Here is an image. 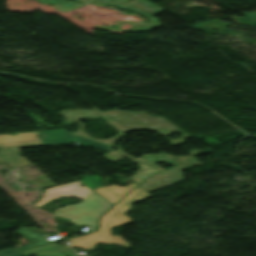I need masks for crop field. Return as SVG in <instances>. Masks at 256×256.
Returning <instances> with one entry per match:
<instances>
[{"mask_svg": "<svg viewBox=\"0 0 256 256\" xmlns=\"http://www.w3.org/2000/svg\"><path fill=\"white\" fill-rule=\"evenodd\" d=\"M41 135V138H37ZM78 142L81 145L93 147L98 150L109 152L113 147L106 144L94 141L92 139L83 136H72L67 130L59 131H46V132H34V133H22L13 136L1 135L0 136V164L5 162L9 164V167H15L14 171H10L6 174L8 182L16 186L17 188H22L28 184L17 181L19 174V167H22L28 163L23 157H20V147H31V146H41V145H51V144H61V143H71Z\"/></svg>", "mask_w": 256, "mask_h": 256, "instance_id": "obj_1", "label": "crop field"}, {"mask_svg": "<svg viewBox=\"0 0 256 256\" xmlns=\"http://www.w3.org/2000/svg\"><path fill=\"white\" fill-rule=\"evenodd\" d=\"M59 113L62 114L66 118L62 124L69 125L73 122H77V123L81 124L79 130L76 131V132H72V134H74V135H84L86 137H88V136L83 131L84 124L82 122L78 121L80 118H95V119L105 120L107 123H109L113 128H115L119 132V135H117V136H115L111 139H107V140H97V139H94V138H92V139L103 142V143H106V144L111 145V146H113L114 142L117 139H119L125 133L129 132L123 126H121L120 124L115 122L113 119L108 117L105 113H103L99 110H62ZM89 138H91V137H89Z\"/></svg>", "mask_w": 256, "mask_h": 256, "instance_id": "obj_3", "label": "crop field"}, {"mask_svg": "<svg viewBox=\"0 0 256 256\" xmlns=\"http://www.w3.org/2000/svg\"><path fill=\"white\" fill-rule=\"evenodd\" d=\"M146 197H150V195L137 186L126 198H124L121 202L119 201L120 203H118L115 207L125 213L130 210L131 204L134 203V201H138Z\"/></svg>", "mask_w": 256, "mask_h": 256, "instance_id": "obj_6", "label": "crop field"}, {"mask_svg": "<svg viewBox=\"0 0 256 256\" xmlns=\"http://www.w3.org/2000/svg\"><path fill=\"white\" fill-rule=\"evenodd\" d=\"M135 186H137V185L134 183H132L126 187H119L117 185H112V186H108V187H100L94 191L114 204L116 201H118L122 196H124L127 192H129ZM53 216L57 217L59 219L65 220V221H68L70 219V218L64 217V216L56 214V213H54Z\"/></svg>", "mask_w": 256, "mask_h": 256, "instance_id": "obj_5", "label": "crop field"}, {"mask_svg": "<svg viewBox=\"0 0 256 256\" xmlns=\"http://www.w3.org/2000/svg\"><path fill=\"white\" fill-rule=\"evenodd\" d=\"M127 23L132 24V25H133V28H132V29H129V30H119V29H115V28H112V27L101 26V25H96L95 27L107 28V29L118 30V31H127V32L151 30V29H155V28H156L155 26L146 25V24H141V23H136V22H131V21H128Z\"/></svg>", "mask_w": 256, "mask_h": 256, "instance_id": "obj_10", "label": "crop field"}, {"mask_svg": "<svg viewBox=\"0 0 256 256\" xmlns=\"http://www.w3.org/2000/svg\"><path fill=\"white\" fill-rule=\"evenodd\" d=\"M129 3L133 4L134 6L144 10L145 12H147V13L153 15V16L162 12V11H164L163 9H161L158 6L152 4L148 0H134V1L129 2Z\"/></svg>", "mask_w": 256, "mask_h": 256, "instance_id": "obj_9", "label": "crop field"}, {"mask_svg": "<svg viewBox=\"0 0 256 256\" xmlns=\"http://www.w3.org/2000/svg\"><path fill=\"white\" fill-rule=\"evenodd\" d=\"M15 251L19 252L16 249L6 250V251L0 252V256H4V255L10 254V253L15 252ZM12 256H23V255H21L20 253H17V254L12 255Z\"/></svg>", "mask_w": 256, "mask_h": 256, "instance_id": "obj_13", "label": "crop field"}, {"mask_svg": "<svg viewBox=\"0 0 256 256\" xmlns=\"http://www.w3.org/2000/svg\"><path fill=\"white\" fill-rule=\"evenodd\" d=\"M100 181H101V177L99 176H85V178L81 180V182H83L92 190L101 186Z\"/></svg>", "mask_w": 256, "mask_h": 256, "instance_id": "obj_11", "label": "crop field"}, {"mask_svg": "<svg viewBox=\"0 0 256 256\" xmlns=\"http://www.w3.org/2000/svg\"><path fill=\"white\" fill-rule=\"evenodd\" d=\"M37 1H39L40 3L48 4V5L53 4L56 6L57 10H61V11L84 5V3L71 2L67 0H37Z\"/></svg>", "mask_w": 256, "mask_h": 256, "instance_id": "obj_8", "label": "crop field"}, {"mask_svg": "<svg viewBox=\"0 0 256 256\" xmlns=\"http://www.w3.org/2000/svg\"><path fill=\"white\" fill-rule=\"evenodd\" d=\"M76 1L84 2V0H76Z\"/></svg>", "mask_w": 256, "mask_h": 256, "instance_id": "obj_14", "label": "crop field"}, {"mask_svg": "<svg viewBox=\"0 0 256 256\" xmlns=\"http://www.w3.org/2000/svg\"><path fill=\"white\" fill-rule=\"evenodd\" d=\"M129 0H87V2L124 3Z\"/></svg>", "mask_w": 256, "mask_h": 256, "instance_id": "obj_12", "label": "crop field"}, {"mask_svg": "<svg viewBox=\"0 0 256 256\" xmlns=\"http://www.w3.org/2000/svg\"><path fill=\"white\" fill-rule=\"evenodd\" d=\"M88 4H90V5H109V6L118 7V8L124 9V10L132 11V12H135L139 15H142L144 17L149 18V23H151V24L158 25V26L161 25L157 18L143 12L142 10H140V9H138V8L128 4V3H124V4L88 3Z\"/></svg>", "mask_w": 256, "mask_h": 256, "instance_id": "obj_7", "label": "crop field"}, {"mask_svg": "<svg viewBox=\"0 0 256 256\" xmlns=\"http://www.w3.org/2000/svg\"><path fill=\"white\" fill-rule=\"evenodd\" d=\"M116 151H118V152H120V153H122V154H124L126 156H129V155L125 154L124 152H122L120 149H117ZM201 151H203V150H192L190 152L191 155L188 156V157H174V156L167 155V154L142 155V157L139 158V159H135V158H133L131 156H129V157H131V158H133V159H135L137 161H140V162H142V163H144V164H146L148 166H151V167L161 171L163 169L156 167L155 166L156 163H158V162H166V163H170V164L176 165V164H178V163H180V162H182V161H184V160L194 156L195 154H197V153H199ZM102 157L115 162V161H117V160H119V159H121V158H123L125 156H123V155H121V154L111 150L108 154H106V155H104ZM125 158L130 159L128 157H125ZM130 160H132V159H130ZM132 161H134V160H132ZM134 162H136V161H134ZM136 163L139 164V170L136 171V174L134 176L130 177V178L135 183H137V184H139L140 182L145 180L147 177H149L153 173L157 172L156 170H154V169H152L150 167H147V166H145V165H143V164H141L139 162H136Z\"/></svg>", "mask_w": 256, "mask_h": 256, "instance_id": "obj_2", "label": "crop field"}, {"mask_svg": "<svg viewBox=\"0 0 256 256\" xmlns=\"http://www.w3.org/2000/svg\"><path fill=\"white\" fill-rule=\"evenodd\" d=\"M210 152H212V150L205 151L201 154L210 153ZM197 156L179 165L178 167L153 175L152 177H150L148 180H146L139 186H141L146 191L150 192L156 189H160V188L175 184L185 179V177L182 176V172L185 169H188L197 165H202L200 162L196 161Z\"/></svg>", "mask_w": 256, "mask_h": 256, "instance_id": "obj_4", "label": "crop field"}]
</instances>
